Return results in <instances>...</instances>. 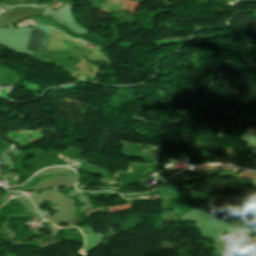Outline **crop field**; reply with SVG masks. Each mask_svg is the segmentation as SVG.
Wrapping results in <instances>:
<instances>
[{
  "mask_svg": "<svg viewBox=\"0 0 256 256\" xmlns=\"http://www.w3.org/2000/svg\"><path fill=\"white\" fill-rule=\"evenodd\" d=\"M242 167L256 170V162H255V160H253L252 162L244 163Z\"/></svg>",
  "mask_w": 256,
  "mask_h": 256,
  "instance_id": "ac0d7876",
  "label": "crop field"
},
{
  "mask_svg": "<svg viewBox=\"0 0 256 256\" xmlns=\"http://www.w3.org/2000/svg\"><path fill=\"white\" fill-rule=\"evenodd\" d=\"M203 212L209 215H249L248 210H231L226 201L216 203ZM235 230L249 227V216H215Z\"/></svg>",
  "mask_w": 256,
  "mask_h": 256,
  "instance_id": "8a807250",
  "label": "crop field"
}]
</instances>
